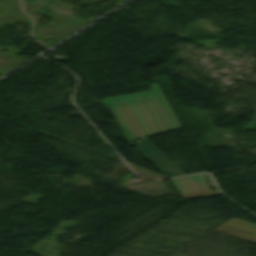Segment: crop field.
Returning a JSON list of instances; mask_svg holds the SVG:
<instances>
[{"label": "crop field", "mask_w": 256, "mask_h": 256, "mask_svg": "<svg viewBox=\"0 0 256 256\" xmlns=\"http://www.w3.org/2000/svg\"><path fill=\"white\" fill-rule=\"evenodd\" d=\"M172 181L185 199L221 194L218 191L209 190L203 182V174L173 178Z\"/></svg>", "instance_id": "crop-field-2"}, {"label": "crop field", "mask_w": 256, "mask_h": 256, "mask_svg": "<svg viewBox=\"0 0 256 256\" xmlns=\"http://www.w3.org/2000/svg\"><path fill=\"white\" fill-rule=\"evenodd\" d=\"M152 91L103 98L128 141L179 129L157 84Z\"/></svg>", "instance_id": "crop-field-1"}, {"label": "crop field", "mask_w": 256, "mask_h": 256, "mask_svg": "<svg viewBox=\"0 0 256 256\" xmlns=\"http://www.w3.org/2000/svg\"><path fill=\"white\" fill-rule=\"evenodd\" d=\"M134 146L168 177L184 174L146 138L139 140Z\"/></svg>", "instance_id": "crop-field-3"}, {"label": "crop field", "mask_w": 256, "mask_h": 256, "mask_svg": "<svg viewBox=\"0 0 256 256\" xmlns=\"http://www.w3.org/2000/svg\"><path fill=\"white\" fill-rule=\"evenodd\" d=\"M214 231L256 243V224L239 219L233 218Z\"/></svg>", "instance_id": "crop-field-4"}]
</instances>
